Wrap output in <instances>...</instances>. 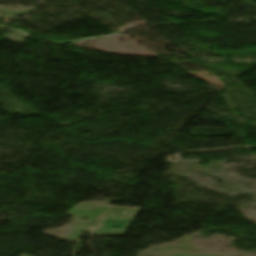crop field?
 Returning <instances> with one entry per match:
<instances>
[{
    "instance_id": "ac0d7876",
    "label": "crop field",
    "mask_w": 256,
    "mask_h": 256,
    "mask_svg": "<svg viewBox=\"0 0 256 256\" xmlns=\"http://www.w3.org/2000/svg\"><path fill=\"white\" fill-rule=\"evenodd\" d=\"M22 256H26V255L22 254Z\"/></svg>"
},
{
    "instance_id": "8a807250",
    "label": "crop field",
    "mask_w": 256,
    "mask_h": 256,
    "mask_svg": "<svg viewBox=\"0 0 256 256\" xmlns=\"http://www.w3.org/2000/svg\"><path fill=\"white\" fill-rule=\"evenodd\" d=\"M137 213L138 212H130L128 216H121V217H116L114 215L103 213L96 219V222H99V224L96 226L94 230L125 232L127 231L130 224L132 223V220H130V217L133 215H136ZM126 219H129V221H127Z\"/></svg>"
}]
</instances>
